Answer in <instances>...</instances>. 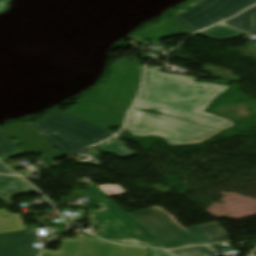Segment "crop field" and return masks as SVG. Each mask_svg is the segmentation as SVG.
Wrapping results in <instances>:
<instances>
[{
  "label": "crop field",
  "mask_w": 256,
  "mask_h": 256,
  "mask_svg": "<svg viewBox=\"0 0 256 256\" xmlns=\"http://www.w3.org/2000/svg\"><path fill=\"white\" fill-rule=\"evenodd\" d=\"M160 70V67H147L145 84L134 108L161 112L220 131L234 126L230 120L203 112L227 86L194 83L193 77L160 73Z\"/></svg>",
  "instance_id": "1"
},
{
  "label": "crop field",
  "mask_w": 256,
  "mask_h": 256,
  "mask_svg": "<svg viewBox=\"0 0 256 256\" xmlns=\"http://www.w3.org/2000/svg\"><path fill=\"white\" fill-rule=\"evenodd\" d=\"M130 215L168 249L195 244H211L227 239V235L215 223L184 229L156 208L130 213Z\"/></svg>",
  "instance_id": "2"
},
{
  "label": "crop field",
  "mask_w": 256,
  "mask_h": 256,
  "mask_svg": "<svg viewBox=\"0 0 256 256\" xmlns=\"http://www.w3.org/2000/svg\"><path fill=\"white\" fill-rule=\"evenodd\" d=\"M125 130L135 136H159L171 146L201 143L220 132L163 114L154 115L138 110H132ZM179 136L195 141L182 142Z\"/></svg>",
  "instance_id": "3"
},
{
  "label": "crop field",
  "mask_w": 256,
  "mask_h": 256,
  "mask_svg": "<svg viewBox=\"0 0 256 256\" xmlns=\"http://www.w3.org/2000/svg\"><path fill=\"white\" fill-rule=\"evenodd\" d=\"M91 226L100 228L95 235L107 240L165 248L157 238L110 198L100 202V208L91 213Z\"/></svg>",
  "instance_id": "4"
},
{
  "label": "crop field",
  "mask_w": 256,
  "mask_h": 256,
  "mask_svg": "<svg viewBox=\"0 0 256 256\" xmlns=\"http://www.w3.org/2000/svg\"><path fill=\"white\" fill-rule=\"evenodd\" d=\"M142 69L139 61L118 59L114 77L75 102L130 108L140 87Z\"/></svg>",
  "instance_id": "5"
},
{
  "label": "crop field",
  "mask_w": 256,
  "mask_h": 256,
  "mask_svg": "<svg viewBox=\"0 0 256 256\" xmlns=\"http://www.w3.org/2000/svg\"><path fill=\"white\" fill-rule=\"evenodd\" d=\"M254 3L256 0H200L173 17L194 33Z\"/></svg>",
  "instance_id": "6"
},
{
  "label": "crop field",
  "mask_w": 256,
  "mask_h": 256,
  "mask_svg": "<svg viewBox=\"0 0 256 256\" xmlns=\"http://www.w3.org/2000/svg\"><path fill=\"white\" fill-rule=\"evenodd\" d=\"M30 124L40 134L59 130L89 146L114 135L61 111L45 115Z\"/></svg>",
  "instance_id": "7"
},
{
  "label": "crop field",
  "mask_w": 256,
  "mask_h": 256,
  "mask_svg": "<svg viewBox=\"0 0 256 256\" xmlns=\"http://www.w3.org/2000/svg\"><path fill=\"white\" fill-rule=\"evenodd\" d=\"M148 249L110 244L79 234L63 239L58 252L44 250L42 256H145Z\"/></svg>",
  "instance_id": "8"
},
{
  "label": "crop field",
  "mask_w": 256,
  "mask_h": 256,
  "mask_svg": "<svg viewBox=\"0 0 256 256\" xmlns=\"http://www.w3.org/2000/svg\"><path fill=\"white\" fill-rule=\"evenodd\" d=\"M0 131L23 143L24 145L19 146V148L25 154L35 152L50 164L55 162L54 160L63 157L60 152L27 124L9 125Z\"/></svg>",
  "instance_id": "9"
},
{
  "label": "crop field",
  "mask_w": 256,
  "mask_h": 256,
  "mask_svg": "<svg viewBox=\"0 0 256 256\" xmlns=\"http://www.w3.org/2000/svg\"><path fill=\"white\" fill-rule=\"evenodd\" d=\"M128 109L82 103L64 112L109 131L111 126L121 127Z\"/></svg>",
  "instance_id": "10"
},
{
  "label": "crop field",
  "mask_w": 256,
  "mask_h": 256,
  "mask_svg": "<svg viewBox=\"0 0 256 256\" xmlns=\"http://www.w3.org/2000/svg\"><path fill=\"white\" fill-rule=\"evenodd\" d=\"M36 236L33 230L0 234V256H37L41 249L31 248Z\"/></svg>",
  "instance_id": "11"
},
{
  "label": "crop field",
  "mask_w": 256,
  "mask_h": 256,
  "mask_svg": "<svg viewBox=\"0 0 256 256\" xmlns=\"http://www.w3.org/2000/svg\"><path fill=\"white\" fill-rule=\"evenodd\" d=\"M170 34H192L184 26H182L177 20L173 17L162 21L156 25H153L147 29H144L138 33L136 36L145 39L158 41Z\"/></svg>",
  "instance_id": "12"
},
{
  "label": "crop field",
  "mask_w": 256,
  "mask_h": 256,
  "mask_svg": "<svg viewBox=\"0 0 256 256\" xmlns=\"http://www.w3.org/2000/svg\"><path fill=\"white\" fill-rule=\"evenodd\" d=\"M47 139L57 150H59L65 157L83 150L86 146L58 131L41 134Z\"/></svg>",
  "instance_id": "13"
},
{
  "label": "crop field",
  "mask_w": 256,
  "mask_h": 256,
  "mask_svg": "<svg viewBox=\"0 0 256 256\" xmlns=\"http://www.w3.org/2000/svg\"><path fill=\"white\" fill-rule=\"evenodd\" d=\"M3 192L7 194L4 196L0 195V199L16 194L34 193L36 191L21 178L0 176V194Z\"/></svg>",
  "instance_id": "14"
},
{
  "label": "crop field",
  "mask_w": 256,
  "mask_h": 256,
  "mask_svg": "<svg viewBox=\"0 0 256 256\" xmlns=\"http://www.w3.org/2000/svg\"><path fill=\"white\" fill-rule=\"evenodd\" d=\"M225 24L243 30L247 33L253 32L256 34V6L225 22Z\"/></svg>",
  "instance_id": "15"
},
{
  "label": "crop field",
  "mask_w": 256,
  "mask_h": 256,
  "mask_svg": "<svg viewBox=\"0 0 256 256\" xmlns=\"http://www.w3.org/2000/svg\"><path fill=\"white\" fill-rule=\"evenodd\" d=\"M119 136L95 147L96 149L108 154H114L120 158H126V157H131L134 156L138 153L126 148L127 147V143H123L121 141H119L117 138Z\"/></svg>",
  "instance_id": "16"
},
{
  "label": "crop field",
  "mask_w": 256,
  "mask_h": 256,
  "mask_svg": "<svg viewBox=\"0 0 256 256\" xmlns=\"http://www.w3.org/2000/svg\"><path fill=\"white\" fill-rule=\"evenodd\" d=\"M243 34L244 33L240 31L219 24L205 32L198 33L197 35H201L212 40H228L239 37Z\"/></svg>",
  "instance_id": "17"
},
{
  "label": "crop field",
  "mask_w": 256,
  "mask_h": 256,
  "mask_svg": "<svg viewBox=\"0 0 256 256\" xmlns=\"http://www.w3.org/2000/svg\"><path fill=\"white\" fill-rule=\"evenodd\" d=\"M2 216H7L6 218H2ZM23 226L18 214L10 215L7 210H0V233L24 230Z\"/></svg>",
  "instance_id": "18"
},
{
  "label": "crop field",
  "mask_w": 256,
  "mask_h": 256,
  "mask_svg": "<svg viewBox=\"0 0 256 256\" xmlns=\"http://www.w3.org/2000/svg\"><path fill=\"white\" fill-rule=\"evenodd\" d=\"M23 152L0 132V158L2 160L22 154Z\"/></svg>",
  "instance_id": "19"
},
{
  "label": "crop field",
  "mask_w": 256,
  "mask_h": 256,
  "mask_svg": "<svg viewBox=\"0 0 256 256\" xmlns=\"http://www.w3.org/2000/svg\"><path fill=\"white\" fill-rule=\"evenodd\" d=\"M208 251L212 250L208 247L195 246L178 250H172L171 252L174 253L176 256H206L203 253Z\"/></svg>",
  "instance_id": "20"
},
{
  "label": "crop field",
  "mask_w": 256,
  "mask_h": 256,
  "mask_svg": "<svg viewBox=\"0 0 256 256\" xmlns=\"http://www.w3.org/2000/svg\"><path fill=\"white\" fill-rule=\"evenodd\" d=\"M99 187L109 197L116 196V195H121V194H125L126 193L118 185H103V186H99Z\"/></svg>",
  "instance_id": "21"
},
{
  "label": "crop field",
  "mask_w": 256,
  "mask_h": 256,
  "mask_svg": "<svg viewBox=\"0 0 256 256\" xmlns=\"http://www.w3.org/2000/svg\"><path fill=\"white\" fill-rule=\"evenodd\" d=\"M147 256H171V255L162 250L150 249Z\"/></svg>",
  "instance_id": "22"
},
{
  "label": "crop field",
  "mask_w": 256,
  "mask_h": 256,
  "mask_svg": "<svg viewBox=\"0 0 256 256\" xmlns=\"http://www.w3.org/2000/svg\"><path fill=\"white\" fill-rule=\"evenodd\" d=\"M0 173H9V174H15L10 168H8L4 163L0 161Z\"/></svg>",
  "instance_id": "23"
},
{
  "label": "crop field",
  "mask_w": 256,
  "mask_h": 256,
  "mask_svg": "<svg viewBox=\"0 0 256 256\" xmlns=\"http://www.w3.org/2000/svg\"><path fill=\"white\" fill-rule=\"evenodd\" d=\"M210 247H212L214 250L216 251H219L221 250L222 248H224L223 246H221L220 244H217V245H211Z\"/></svg>",
  "instance_id": "24"
},
{
  "label": "crop field",
  "mask_w": 256,
  "mask_h": 256,
  "mask_svg": "<svg viewBox=\"0 0 256 256\" xmlns=\"http://www.w3.org/2000/svg\"><path fill=\"white\" fill-rule=\"evenodd\" d=\"M10 200V199H9ZM8 200V198H5V199H1L0 201H2L4 204H6L7 206H10L12 205L11 202Z\"/></svg>",
  "instance_id": "25"
},
{
  "label": "crop field",
  "mask_w": 256,
  "mask_h": 256,
  "mask_svg": "<svg viewBox=\"0 0 256 256\" xmlns=\"http://www.w3.org/2000/svg\"><path fill=\"white\" fill-rule=\"evenodd\" d=\"M8 0H3L1 3H0V10L4 7V5L7 3Z\"/></svg>",
  "instance_id": "26"
},
{
  "label": "crop field",
  "mask_w": 256,
  "mask_h": 256,
  "mask_svg": "<svg viewBox=\"0 0 256 256\" xmlns=\"http://www.w3.org/2000/svg\"><path fill=\"white\" fill-rule=\"evenodd\" d=\"M2 0H0V2H1Z\"/></svg>",
  "instance_id": "27"
}]
</instances>
